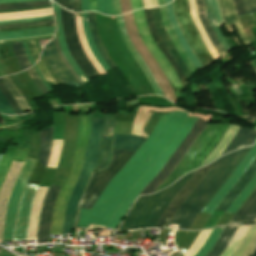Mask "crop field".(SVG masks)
Returning a JSON list of instances; mask_svg holds the SVG:
<instances>
[{
	"label": "crop field",
	"mask_w": 256,
	"mask_h": 256,
	"mask_svg": "<svg viewBox=\"0 0 256 256\" xmlns=\"http://www.w3.org/2000/svg\"><path fill=\"white\" fill-rule=\"evenodd\" d=\"M167 115H169L168 118L156 135ZM187 115L188 113L186 112H168L163 114L147 141L111 179L106 189L104 188L105 190L94 203L92 209L81 208L77 227H87L89 223L106 226L127 192L148 171L178 131Z\"/></svg>",
	"instance_id": "crop-field-1"
},
{
	"label": "crop field",
	"mask_w": 256,
	"mask_h": 256,
	"mask_svg": "<svg viewBox=\"0 0 256 256\" xmlns=\"http://www.w3.org/2000/svg\"><path fill=\"white\" fill-rule=\"evenodd\" d=\"M198 118L187 117L179 131L173 137V139L166 146L164 151L161 153L159 158L149 169V171L132 187L129 193L124 198L123 202L115 212L114 216L107 224L106 228L115 229L119 224L121 219L126 214L133 200L141 193L142 189L149 183V181L158 173V171L165 165L169 160L171 154L175 151L181 140L190 131V129L195 125ZM207 123L198 119L196 125L191 129V131L186 135L183 141L180 143L176 151L172 154L170 160L166 165L159 171V173L153 178V180L147 185V187L142 191L140 195L151 194L161 182L173 171L177 166L179 161L182 159L190 145L195 141V139L200 135Z\"/></svg>",
	"instance_id": "crop-field-2"
},
{
	"label": "crop field",
	"mask_w": 256,
	"mask_h": 256,
	"mask_svg": "<svg viewBox=\"0 0 256 256\" xmlns=\"http://www.w3.org/2000/svg\"><path fill=\"white\" fill-rule=\"evenodd\" d=\"M249 149H241L216 160L209 173L181 205L170 223L180 225V229L189 230L199 211L207 204Z\"/></svg>",
	"instance_id": "crop-field-3"
},
{
	"label": "crop field",
	"mask_w": 256,
	"mask_h": 256,
	"mask_svg": "<svg viewBox=\"0 0 256 256\" xmlns=\"http://www.w3.org/2000/svg\"><path fill=\"white\" fill-rule=\"evenodd\" d=\"M195 172V171H194ZM194 172L185 175L173 186L152 195L141 196L133 204L119 231L155 227L161 214Z\"/></svg>",
	"instance_id": "crop-field-4"
},
{
	"label": "crop field",
	"mask_w": 256,
	"mask_h": 256,
	"mask_svg": "<svg viewBox=\"0 0 256 256\" xmlns=\"http://www.w3.org/2000/svg\"><path fill=\"white\" fill-rule=\"evenodd\" d=\"M90 129L91 122L89 114L79 116L74 160L72 163L71 171L69 170L70 173L61 188L55 205L54 218L50 234L61 235L66 204L81 171Z\"/></svg>",
	"instance_id": "crop-field-5"
},
{
	"label": "crop field",
	"mask_w": 256,
	"mask_h": 256,
	"mask_svg": "<svg viewBox=\"0 0 256 256\" xmlns=\"http://www.w3.org/2000/svg\"><path fill=\"white\" fill-rule=\"evenodd\" d=\"M91 121H92V130H91L89 142L86 148L83 168L80 173L77 184L74 188V191L67 204L62 235L71 233L73 230L76 215H77L78 203L86 188L87 182L96 166L103 119H91Z\"/></svg>",
	"instance_id": "crop-field-6"
},
{
	"label": "crop field",
	"mask_w": 256,
	"mask_h": 256,
	"mask_svg": "<svg viewBox=\"0 0 256 256\" xmlns=\"http://www.w3.org/2000/svg\"><path fill=\"white\" fill-rule=\"evenodd\" d=\"M51 139L52 126L40 131V157L38 160L44 166H46L49 156ZM39 161L37 162L27 183L39 184L45 171V167ZM37 186L38 185L32 184L26 185V189L21 200L14 240H26L31 203L33 196L37 190Z\"/></svg>",
	"instance_id": "crop-field-7"
},
{
	"label": "crop field",
	"mask_w": 256,
	"mask_h": 256,
	"mask_svg": "<svg viewBox=\"0 0 256 256\" xmlns=\"http://www.w3.org/2000/svg\"><path fill=\"white\" fill-rule=\"evenodd\" d=\"M134 152L113 148V159L104 172H94L80 207L90 209L109 180L125 165Z\"/></svg>",
	"instance_id": "crop-field-8"
},
{
	"label": "crop field",
	"mask_w": 256,
	"mask_h": 256,
	"mask_svg": "<svg viewBox=\"0 0 256 256\" xmlns=\"http://www.w3.org/2000/svg\"><path fill=\"white\" fill-rule=\"evenodd\" d=\"M174 9L179 26L189 42L192 50L204 67L215 62L206 49L190 15L187 0H174Z\"/></svg>",
	"instance_id": "crop-field-9"
},
{
	"label": "crop field",
	"mask_w": 256,
	"mask_h": 256,
	"mask_svg": "<svg viewBox=\"0 0 256 256\" xmlns=\"http://www.w3.org/2000/svg\"><path fill=\"white\" fill-rule=\"evenodd\" d=\"M133 15H134V19H135L137 28L140 32L143 42L145 43V45L147 46V48L149 49L151 54L154 56V58L156 59V61L159 64V66L161 67V69L167 76L168 80L170 81V83L174 89L176 99L178 101L179 98L181 97L183 87H182L176 73L174 72L173 68L168 63V61L165 59V57L159 50L158 46L154 42L153 38L151 37L148 27H147L143 9L134 11Z\"/></svg>",
	"instance_id": "crop-field-10"
},
{
	"label": "crop field",
	"mask_w": 256,
	"mask_h": 256,
	"mask_svg": "<svg viewBox=\"0 0 256 256\" xmlns=\"http://www.w3.org/2000/svg\"><path fill=\"white\" fill-rule=\"evenodd\" d=\"M61 23L65 34L66 44L70 51L71 56L74 58L78 66L84 72L86 77L90 79L91 77H96L99 74L91 65L87 57L85 56L76 33L75 29V16L73 13L67 12L66 10L60 8Z\"/></svg>",
	"instance_id": "crop-field-11"
},
{
	"label": "crop field",
	"mask_w": 256,
	"mask_h": 256,
	"mask_svg": "<svg viewBox=\"0 0 256 256\" xmlns=\"http://www.w3.org/2000/svg\"><path fill=\"white\" fill-rule=\"evenodd\" d=\"M36 162V160L26 158L21 172L13 186L4 224L3 239L5 240H12L13 238L20 195Z\"/></svg>",
	"instance_id": "crop-field-12"
},
{
	"label": "crop field",
	"mask_w": 256,
	"mask_h": 256,
	"mask_svg": "<svg viewBox=\"0 0 256 256\" xmlns=\"http://www.w3.org/2000/svg\"><path fill=\"white\" fill-rule=\"evenodd\" d=\"M27 152L28 150H26L21 146H18L13 161L23 164L26 158ZM14 162L10 167V170L6 176V179L0 191V243L2 241L3 224H4V217L6 213L8 199L10 196L12 186L22 166V164H18Z\"/></svg>",
	"instance_id": "crop-field-13"
},
{
	"label": "crop field",
	"mask_w": 256,
	"mask_h": 256,
	"mask_svg": "<svg viewBox=\"0 0 256 256\" xmlns=\"http://www.w3.org/2000/svg\"><path fill=\"white\" fill-rule=\"evenodd\" d=\"M213 163L214 162L196 171V173L191 177V179L186 183V185L181 189V191L173 198V200L167 207L165 213L161 217L156 227L167 226L169 220L172 218L174 213L179 209L182 202L185 200L188 194L194 189V187L201 181V179L206 175V173L209 171Z\"/></svg>",
	"instance_id": "crop-field-14"
},
{
	"label": "crop field",
	"mask_w": 256,
	"mask_h": 256,
	"mask_svg": "<svg viewBox=\"0 0 256 256\" xmlns=\"http://www.w3.org/2000/svg\"><path fill=\"white\" fill-rule=\"evenodd\" d=\"M256 144V143H255ZM256 157V145H254L250 151L245 155L241 163L237 166L234 172L229 176L225 183L220 187L216 194L212 197L209 203L203 208L202 212L211 214L221 199L231 189L239 177L243 174L252 160Z\"/></svg>",
	"instance_id": "crop-field-15"
},
{
	"label": "crop field",
	"mask_w": 256,
	"mask_h": 256,
	"mask_svg": "<svg viewBox=\"0 0 256 256\" xmlns=\"http://www.w3.org/2000/svg\"><path fill=\"white\" fill-rule=\"evenodd\" d=\"M42 53L62 84L77 83L76 79L72 76L62 59L59 57L54 40L45 46Z\"/></svg>",
	"instance_id": "crop-field-16"
},
{
	"label": "crop field",
	"mask_w": 256,
	"mask_h": 256,
	"mask_svg": "<svg viewBox=\"0 0 256 256\" xmlns=\"http://www.w3.org/2000/svg\"><path fill=\"white\" fill-rule=\"evenodd\" d=\"M61 187L51 185L44 201L37 243H47L55 199Z\"/></svg>",
	"instance_id": "crop-field-17"
},
{
	"label": "crop field",
	"mask_w": 256,
	"mask_h": 256,
	"mask_svg": "<svg viewBox=\"0 0 256 256\" xmlns=\"http://www.w3.org/2000/svg\"><path fill=\"white\" fill-rule=\"evenodd\" d=\"M231 121H221L216 130L214 131L213 135L211 136L210 140L203 146V148L199 151V153L195 156V158L192 160V162L189 164V166L186 168V170L183 172L181 176L184 174L195 170L199 168L202 161L205 159V157L215 148V146L218 144L219 140L223 136L224 132L228 128ZM180 176V177H181Z\"/></svg>",
	"instance_id": "crop-field-18"
},
{
	"label": "crop field",
	"mask_w": 256,
	"mask_h": 256,
	"mask_svg": "<svg viewBox=\"0 0 256 256\" xmlns=\"http://www.w3.org/2000/svg\"><path fill=\"white\" fill-rule=\"evenodd\" d=\"M152 11H153L154 25H155L159 35L163 39V41L166 44V46L168 47L171 55L174 57L175 61L179 64V66L182 68L183 72L185 73V75H186V77L188 79L193 74L188 69V67L185 65V63L182 61L181 57L176 52L173 44L171 43L169 37L167 36V34H166V32H165V30L163 28V25L161 23L159 7L152 8Z\"/></svg>",
	"instance_id": "crop-field-19"
},
{
	"label": "crop field",
	"mask_w": 256,
	"mask_h": 256,
	"mask_svg": "<svg viewBox=\"0 0 256 256\" xmlns=\"http://www.w3.org/2000/svg\"><path fill=\"white\" fill-rule=\"evenodd\" d=\"M256 172V158L250 164L247 171L243 174V176L238 180V182L233 186V188L227 193V195L223 198L220 204L216 209L227 210L230 206L231 202L238 195V193L243 189V187L248 183V181L252 178V176Z\"/></svg>",
	"instance_id": "crop-field-20"
},
{
	"label": "crop field",
	"mask_w": 256,
	"mask_h": 256,
	"mask_svg": "<svg viewBox=\"0 0 256 256\" xmlns=\"http://www.w3.org/2000/svg\"><path fill=\"white\" fill-rule=\"evenodd\" d=\"M145 10V14H146V19H147V23H148V27L157 43V45L159 46V48L161 49L162 53L164 54V56L168 59V61L171 63V65L173 66V68L175 69L179 79L181 80L183 87L186 86V84L188 83L184 73L182 72L181 68L177 65V63L174 61V59L171 57L169 51L167 50L166 46L164 45L163 41L161 40V38L159 37L158 33L155 30V27L153 25V21H152V11L151 8H147L144 9Z\"/></svg>",
	"instance_id": "crop-field-21"
},
{
	"label": "crop field",
	"mask_w": 256,
	"mask_h": 256,
	"mask_svg": "<svg viewBox=\"0 0 256 256\" xmlns=\"http://www.w3.org/2000/svg\"><path fill=\"white\" fill-rule=\"evenodd\" d=\"M218 4L221 9L222 16H223L225 23L234 22L237 32H238L240 38L242 39V41L245 43V45L250 44V41L246 37V35L238 21V17L235 13V9H234L232 0H218Z\"/></svg>",
	"instance_id": "crop-field-22"
},
{
	"label": "crop field",
	"mask_w": 256,
	"mask_h": 256,
	"mask_svg": "<svg viewBox=\"0 0 256 256\" xmlns=\"http://www.w3.org/2000/svg\"><path fill=\"white\" fill-rule=\"evenodd\" d=\"M52 5H53L55 21H56V25H57V39H58V43H59L60 49H61L63 55L66 57L67 61L74 68L76 73L79 75V77L81 78L82 82L83 83L88 82L89 80L84 76V74L78 68V66L76 65L75 61L70 57V54H69V52L67 50V47H66V44H65V41H64V37H63L61 23H60L59 6H57L53 2H52Z\"/></svg>",
	"instance_id": "crop-field-23"
},
{
	"label": "crop field",
	"mask_w": 256,
	"mask_h": 256,
	"mask_svg": "<svg viewBox=\"0 0 256 256\" xmlns=\"http://www.w3.org/2000/svg\"><path fill=\"white\" fill-rule=\"evenodd\" d=\"M166 8H167L168 16H169L170 22L172 24V27L182 45V47L184 48L186 54L188 55L189 59L195 65L196 69L204 68L202 66V64L199 62V60L196 58V56L193 54L188 42L186 41L183 33L181 32V30L177 24L175 14H174L173 4L170 3V4L166 5Z\"/></svg>",
	"instance_id": "crop-field-24"
},
{
	"label": "crop field",
	"mask_w": 256,
	"mask_h": 256,
	"mask_svg": "<svg viewBox=\"0 0 256 256\" xmlns=\"http://www.w3.org/2000/svg\"><path fill=\"white\" fill-rule=\"evenodd\" d=\"M256 141V131L240 127L239 131L226 147V149L221 153V155L238 149L240 147H247L254 144ZM220 155V156H221Z\"/></svg>",
	"instance_id": "crop-field-25"
},
{
	"label": "crop field",
	"mask_w": 256,
	"mask_h": 256,
	"mask_svg": "<svg viewBox=\"0 0 256 256\" xmlns=\"http://www.w3.org/2000/svg\"><path fill=\"white\" fill-rule=\"evenodd\" d=\"M54 32H55V26L49 27V28H42V29L6 31V32H0V40L37 37L41 35L52 34Z\"/></svg>",
	"instance_id": "crop-field-26"
},
{
	"label": "crop field",
	"mask_w": 256,
	"mask_h": 256,
	"mask_svg": "<svg viewBox=\"0 0 256 256\" xmlns=\"http://www.w3.org/2000/svg\"><path fill=\"white\" fill-rule=\"evenodd\" d=\"M195 1H196L197 10H198V16L201 20V23H202L207 35L209 36L210 40L212 41L216 51L218 52L219 55L226 53L225 50L223 49V47L221 46L220 42L216 38V36L206 18L203 1L202 0H195Z\"/></svg>",
	"instance_id": "crop-field-27"
},
{
	"label": "crop field",
	"mask_w": 256,
	"mask_h": 256,
	"mask_svg": "<svg viewBox=\"0 0 256 256\" xmlns=\"http://www.w3.org/2000/svg\"><path fill=\"white\" fill-rule=\"evenodd\" d=\"M144 141L145 138L138 136L114 134L113 147L136 151L144 143Z\"/></svg>",
	"instance_id": "crop-field-28"
},
{
	"label": "crop field",
	"mask_w": 256,
	"mask_h": 256,
	"mask_svg": "<svg viewBox=\"0 0 256 256\" xmlns=\"http://www.w3.org/2000/svg\"><path fill=\"white\" fill-rule=\"evenodd\" d=\"M256 247V224L252 225L246 237L233 256H250Z\"/></svg>",
	"instance_id": "crop-field-29"
},
{
	"label": "crop field",
	"mask_w": 256,
	"mask_h": 256,
	"mask_svg": "<svg viewBox=\"0 0 256 256\" xmlns=\"http://www.w3.org/2000/svg\"><path fill=\"white\" fill-rule=\"evenodd\" d=\"M189 2V7H190V15L207 47V49L209 50V52L211 53V55L213 56V58L216 60H218L220 57L218 56V54L216 53L215 49L213 48L210 40L208 39L201 23H200V20L197 16V11H196V7H195V2L194 0H188Z\"/></svg>",
	"instance_id": "crop-field-30"
},
{
	"label": "crop field",
	"mask_w": 256,
	"mask_h": 256,
	"mask_svg": "<svg viewBox=\"0 0 256 256\" xmlns=\"http://www.w3.org/2000/svg\"><path fill=\"white\" fill-rule=\"evenodd\" d=\"M238 227L239 225L226 226L216 245L207 256H219L233 237Z\"/></svg>",
	"instance_id": "crop-field-31"
},
{
	"label": "crop field",
	"mask_w": 256,
	"mask_h": 256,
	"mask_svg": "<svg viewBox=\"0 0 256 256\" xmlns=\"http://www.w3.org/2000/svg\"><path fill=\"white\" fill-rule=\"evenodd\" d=\"M256 204V190L252 195L246 200V202L237 211L234 217L230 220L228 224H238L243 221L246 215L251 211L253 206Z\"/></svg>",
	"instance_id": "crop-field-32"
},
{
	"label": "crop field",
	"mask_w": 256,
	"mask_h": 256,
	"mask_svg": "<svg viewBox=\"0 0 256 256\" xmlns=\"http://www.w3.org/2000/svg\"><path fill=\"white\" fill-rule=\"evenodd\" d=\"M256 187V175L251 179V181L246 185L243 191L239 194L236 200L232 203V205L228 208V212L235 213L236 210L240 207V205L245 201V199L249 196V194Z\"/></svg>",
	"instance_id": "crop-field-33"
},
{
	"label": "crop field",
	"mask_w": 256,
	"mask_h": 256,
	"mask_svg": "<svg viewBox=\"0 0 256 256\" xmlns=\"http://www.w3.org/2000/svg\"><path fill=\"white\" fill-rule=\"evenodd\" d=\"M17 146V145H16ZM16 146L6 149L1 160H0V188L3 183V180L9 170V167L12 163L13 155L16 149Z\"/></svg>",
	"instance_id": "crop-field-34"
},
{
	"label": "crop field",
	"mask_w": 256,
	"mask_h": 256,
	"mask_svg": "<svg viewBox=\"0 0 256 256\" xmlns=\"http://www.w3.org/2000/svg\"><path fill=\"white\" fill-rule=\"evenodd\" d=\"M205 2V8H206V13H207V17L209 19V22L217 36V38L219 39V41L221 42V44L223 45L224 49L227 51L231 50L229 48V46L226 44L219 28H218V25L216 23V20H215V17H214V13H213V10L211 8V4H210V0H204Z\"/></svg>",
	"instance_id": "crop-field-35"
},
{
	"label": "crop field",
	"mask_w": 256,
	"mask_h": 256,
	"mask_svg": "<svg viewBox=\"0 0 256 256\" xmlns=\"http://www.w3.org/2000/svg\"><path fill=\"white\" fill-rule=\"evenodd\" d=\"M82 23H83V27H84L85 37H86L88 46H89L92 54L94 55L96 60L99 62V64L104 68L105 71L110 70V67L107 65V63L100 56L99 52L97 51V49L94 45L93 39H92V37L90 35V32H89L88 22L82 20Z\"/></svg>",
	"instance_id": "crop-field-36"
},
{
	"label": "crop field",
	"mask_w": 256,
	"mask_h": 256,
	"mask_svg": "<svg viewBox=\"0 0 256 256\" xmlns=\"http://www.w3.org/2000/svg\"><path fill=\"white\" fill-rule=\"evenodd\" d=\"M113 140H102L99 164L96 169H105L111 159V147Z\"/></svg>",
	"instance_id": "crop-field-37"
},
{
	"label": "crop field",
	"mask_w": 256,
	"mask_h": 256,
	"mask_svg": "<svg viewBox=\"0 0 256 256\" xmlns=\"http://www.w3.org/2000/svg\"><path fill=\"white\" fill-rule=\"evenodd\" d=\"M2 80L4 81L5 85L9 89L10 93L14 97L15 101L17 102V104L20 107V109L22 110V112H24L26 110H29L30 112H32L30 107L27 105V103L24 101V99L21 97V95L19 94V92L17 91L15 86L13 85L10 78L4 77V78H2Z\"/></svg>",
	"instance_id": "crop-field-38"
},
{
	"label": "crop field",
	"mask_w": 256,
	"mask_h": 256,
	"mask_svg": "<svg viewBox=\"0 0 256 256\" xmlns=\"http://www.w3.org/2000/svg\"><path fill=\"white\" fill-rule=\"evenodd\" d=\"M224 228L213 229L206 243L195 256H206L213 248Z\"/></svg>",
	"instance_id": "crop-field-39"
},
{
	"label": "crop field",
	"mask_w": 256,
	"mask_h": 256,
	"mask_svg": "<svg viewBox=\"0 0 256 256\" xmlns=\"http://www.w3.org/2000/svg\"><path fill=\"white\" fill-rule=\"evenodd\" d=\"M13 45V51L15 54V57L21 67L22 70L28 68L30 65L27 56L25 54V51L23 49L22 43L21 42H17V43H12Z\"/></svg>",
	"instance_id": "crop-field-40"
},
{
	"label": "crop field",
	"mask_w": 256,
	"mask_h": 256,
	"mask_svg": "<svg viewBox=\"0 0 256 256\" xmlns=\"http://www.w3.org/2000/svg\"><path fill=\"white\" fill-rule=\"evenodd\" d=\"M50 4V0L45 1H35V2H24V3H13V4H2L0 5V10H8L15 8H30L42 5Z\"/></svg>",
	"instance_id": "crop-field-41"
},
{
	"label": "crop field",
	"mask_w": 256,
	"mask_h": 256,
	"mask_svg": "<svg viewBox=\"0 0 256 256\" xmlns=\"http://www.w3.org/2000/svg\"><path fill=\"white\" fill-rule=\"evenodd\" d=\"M90 28H91V32H92V35H93L94 42H95V44H96L100 54L102 55V57L104 58V60L108 63V65L110 67L114 66V63L108 57V55L106 54V52H105V50L103 48V45H102V43H101V41L99 39V36L97 34L95 26L90 24Z\"/></svg>",
	"instance_id": "crop-field-42"
},
{
	"label": "crop field",
	"mask_w": 256,
	"mask_h": 256,
	"mask_svg": "<svg viewBox=\"0 0 256 256\" xmlns=\"http://www.w3.org/2000/svg\"><path fill=\"white\" fill-rule=\"evenodd\" d=\"M0 90H1L2 94L4 95V97L6 98V100L11 105L12 109L15 111V113L16 114H23L21 112V110L19 109V107L17 106V104L15 103V101L12 99L9 91L7 90L6 86L2 82L1 78H0Z\"/></svg>",
	"instance_id": "crop-field-43"
},
{
	"label": "crop field",
	"mask_w": 256,
	"mask_h": 256,
	"mask_svg": "<svg viewBox=\"0 0 256 256\" xmlns=\"http://www.w3.org/2000/svg\"><path fill=\"white\" fill-rule=\"evenodd\" d=\"M98 12L105 15H114L111 6V0H96Z\"/></svg>",
	"instance_id": "crop-field-44"
},
{
	"label": "crop field",
	"mask_w": 256,
	"mask_h": 256,
	"mask_svg": "<svg viewBox=\"0 0 256 256\" xmlns=\"http://www.w3.org/2000/svg\"><path fill=\"white\" fill-rule=\"evenodd\" d=\"M29 75L31 76L32 80L35 82V84L39 87V89L42 91L43 94L49 93V91L45 88L44 84L40 80L39 76L35 72V70L32 68L27 70Z\"/></svg>",
	"instance_id": "crop-field-45"
},
{
	"label": "crop field",
	"mask_w": 256,
	"mask_h": 256,
	"mask_svg": "<svg viewBox=\"0 0 256 256\" xmlns=\"http://www.w3.org/2000/svg\"><path fill=\"white\" fill-rule=\"evenodd\" d=\"M50 23H54V20L34 22V23L0 25V29L13 28V27H23V26H33V25H42V24H50Z\"/></svg>",
	"instance_id": "crop-field-46"
},
{
	"label": "crop field",
	"mask_w": 256,
	"mask_h": 256,
	"mask_svg": "<svg viewBox=\"0 0 256 256\" xmlns=\"http://www.w3.org/2000/svg\"><path fill=\"white\" fill-rule=\"evenodd\" d=\"M0 112L5 114H14L7 101L0 92Z\"/></svg>",
	"instance_id": "crop-field-47"
},
{
	"label": "crop field",
	"mask_w": 256,
	"mask_h": 256,
	"mask_svg": "<svg viewBox=\"0 0 256 256\" xmlns=\"http://www.w3.org/2000/svg\"><path fill=\"white\" fill-rule=\"evenodd\" d=\"M49 18H53V16L29 18V19H19V20H10V21H0V24L34 22V21H40V20L49 19Z\"/></svg>",
	"instance_id": "crop-field-48"
},
{
	"label": "crop field",
	"mask_w": 256,
	"mask_h": 256,
	"mask_svg": "<svg viewBox=\"0 0 256 256\" xmlns=\"http://www.w3.org/2000/svg\"><path fill=\"white\" fill-rule=\"evenodd\" d=\"M43 76L46 78L47 81L56 83L54 78L51 76V74L48 72V70L45 68V66L42 64L41 60L39 59L38 63L36 64Z\"/></svg>",
	"instance_id": "crop-field-49"
},
{
	"label": "crop field",
	"mask_w": 256,
	"mask_h": 256,
	"mask_svg": "<svg viewBox=\"0 0 256 256\" xmlns=\"http://www.w3.org/2000/svg\"><path fill=\"white\" fill-rule=\"evenodd\" d=\"M245 12H256V0H242Z\"/></svg>",
	"instance_id": "crop-field-50"
},
{
	"label": "crop field",
	"mask_w": 256,
	"mask_h": 256,
	"mask_svg": "<svg viewBox=\"0 0 256 256\" xmlns=\"http://www.w3.org/2000/svg\"><path fill=\"white\" fill-rule=\"evenodd\" d=\"M27 44H28V48L30 50L31 56H32L34 62H36L39 54H38L37 48L35 46V43L33 41H28Z\"/></svg>",
	"instance_id": "crop-field-51"
},
{
	"label": "crop field",
	"mask_w": 256,
	"mask_h": 256,
	"mask_svg": "<svg viewBox=\"0 0 256 256\" xmlns=\"http://www.w3.org/2000/svg\"><path fill=\"white\" fill-rule=\"evenodd\" d=\"M211 4L214 8L217 23H218V25H220L222 23V17H221L220 10L218 8L217 0H211Z\"/></svg>",
	"instance_id": "crop-field-52"
},
{
	"label": "crop field",
	"mask_w": 256,
	"mask_h": 256,
	"mask_svg": "<svg viewBox=\"0 0 256 256\" xmlns=\"http://www.w3.org/2000/svg\"><path fill=\"white\" fill-rule=\"evenodd\" d=\"M55 42H56V45H57V48H58V51H59V54H60V57L63 59V61L65 62V64L67 65V67L69 68L70 72L73 74V76L77 79V81L83 85V83L79 80V78L77 77V75L75 74L74 70L72 69V67L68 64V62L66 61L65 57L61 54V51L59 49V46H58V43H57V39L54 38Z\"/></svg>",
	"instance_id": "crop-field-53"
},
{
	"label": "crop field",
	"mask_w": 256,
	"mask_h": 256,
	"mask_svg": "<svg viewBox=\"0 0 256 256\" xmlns=\"http://www.w3.org/2000/svg\"><path fill=\"white\" fill-rule=\"evenodd\" d=\"M60 6L63 8L74 11V1L73 0H60Z\"/></svg>",
	"instance_id": "crop-field-54"
},
{
	"label": "crop field",
	"mask_w": 256,
	"mask_h": 256,
	"mask_svg": "<svg viewBox=\"0 0 256 256\" xmlns=\"http://www.w3.org/2000/svg\"><path fill=\"white\" fill-rule=\"evenodd\" d=\"M256 221V205L243 222Z\"/></svg>",
	"instance_id": "crop-field-55"
},
{
	"label": "crop field",
	"mask_w": 256,
	"mask_h": 256,
	"mask_svg": "<svg viewBox=\"0 0 256 256\" xmlns=\"http://www.w3.org/2000/svg\"><path fill=\"white\" fill-rule=\"evenodd\" d=\"M233 1L236 6L237 15L245 13L241 4V0H233Z\"/></svg>",
	"instance_id": "crop-field-56"
},
{
	"label": "crop field",
	"mask_w": 256,
	"mask_h": 256,
	"mask_svg": "<svg viewBox=\"0 0 256 256\" xmlns=\"http://www.w3.org/2000/svg\"><path fill=\"white\" fill-rule=\"evenodd\" d=\"M144 8L158 6L157 0H143Z\"/></svg>",
	"instance_id": "crop-field-57"
},
{
	"label": "crop field",
	"mask_w": 256,
	"mask_h": 256,
	"mask_svg": "<svg viewBox=\"0 0 256 256\" xmlns=\"http://www.w3.org/2000/svg\"><path fill=\"white\" fill-rule=\"evenodd\" d=\"M132 8L134 9H140L143 8L142 6V0H131Z\"/></svg>",
	"instance_id": "crop-field-58"
},
{
	"label": "crop field",
	"mask_w": 256,
	"mask_h": 256,
	"mask_svg": "<svg viewBox=\"0 0 256 256\" xmlns=\"http://www.w3.org/2000/svg\"><path fill=\"white\" fill-rule=\"evenodd\" d=\"M82 11H90L89 1L81 0Z\"/></svg>",
	"instance_id": "crop-field-59"
},
{
	"label": "crop field",
	"mask_w": 256,
	"mask_h": 256,
	"mask_svg": "<svg viewBox=\"0 0 256 256\" xmlns=\"http://www.w3.org/2000/svg\"><path fill=\"white\" fill-rule=\"evenodd\" d=\"M33 67H34V69L36 70V72L38 73V75L40 76V78H41V80L43 81V83L49 88L50 92H52V89L49 87V85H48V83L46 82V80L44 79V77L40 74V72H39L38 68L36 67V65L33 66ZM47 87H46V88H47ZM48 88H47V89H48Z\"/></svg>",
	"instance_id": "crop-field-60"
},
{
	"label": "crop field",
	"mask_w": 256,
	"mask_h": 256,
	"mask_svg": "<svg viewBox=\"0 0 256 256\" xmlns=\"http://www.w3.org/2000/svg\"><path fill=\"white\" fill-rule=\"evenodd\" d=\"M88 19L90 22L95 23V14L93 12H88Z\"/></svg>",
	"instance_id": "crop-field-61"
},
{
	"label": "crop field",
	"mask_w": 256,
	"mask_h": 256,
	"mask_svg": "<svg viewBox=\"0 0 256 256\" xmlns=\"http://www.w3.org/2000/svg\"><path fill=\"white\" fill-rule=\"evenodd\" d=\"M23 44H24V49H25V51H26V54H27V56H28V58H29V60H30L31 64H34V62H33L32 58H31V56H30V53H29V51H28V48H27L26 43H25V42H23Z\"/></svg>",
	"instance_id": "crop-field-62"
},
{
	"label": "crop field",
	"mask_w": 256,
	"mask_h": 256,
	"mask_svg": "<svg viewBox=\"0 0 256 256\" xmlns=\"http://www.w3.org/2000/svg\"><path fill=\"white\" fill-rule=\"evenodd\" d=\"M81 7H80V0H75V12H80Z\"/></svg>",
	"instance_id": "crop-field-63"
},
{
	"label": "crop field",
	"mask_w": 256,
	"mask_h": 256,
	"mask_svg": "<svg viewBox=\"0 0 256 256\" xmlns=\"http://www.w3.org/2000/svg\"><path fill=\"white\" fill-rule=\"evenodd\" d=\"M89 1H90L91 10L97 11L96 1L95 0H89Z\"/></svg>",
	"instance_id": "crop-field-64"
},
{
	"label": "crop field",
	"mask_w": 256,
	"mask_h": 256,
	"mask_svg": "<svg viewBox=\"0 0 256 256\" xmlns=\"http://www.w3.org/2000/svg\"><path fill=\"white\" fill-rule=\"evenodd\" d=\"M20 1H29V0H0L1 3H11V2H20Z\"/></svg>",
	"instance_id": "crop-field-65"
},
{
	"label": "crop field",
	"mask_w": 256,
	"mask_h": 256,
	"mask_svg": "<svg viewBox=\"0 0 256 256\" xmlns=\"http://www.w3.org/2000/svg\"><path fill=\"white\" fill-rule=\"evenodd\" d=\"M82 17H83L85 20L88 21V19H87V13H82Z\"/></svg>",
	"instance_id": "crop-field-66"
},
{
	"label": "crop field",
	"mask_w": 256,
	"mask_h": 256,
	"mask_svg": "<svg viewBox=\"0 0 256 256\" xmlns=\"http://www.w3.org/2000/svg\"><path fill=\"white\" fill-rule=\"evenodd\" d=\"M251 256H256V249L254 250V252Z\"/></svg>",
	"instance_id": "crop-field-67"
},
{
	"label": "crop field",
	"mask_w": 256,
	"mask_h": 256,
	"mask_svg": "<svg viewBox=\"0 0 256 256\" xmlns=\"http://www.w3.org/2000/svg\"><path fill=\"white\" fill-rule=\"evenodd\" d=\"M170 1H172V0H165L166 3L170 2Z\"/></svg>",
	"instance_id": "crop-field-68"
},
{
	"label": "crop field",
	"mask_w": 256,
	"mask_h": 256,
	"mask_svg": "<svg viewBox=\"0 0 256 256\" xmlns=\"http://www.w3.org/2000/svg\"><path fill=\"white\" fill-rule=\"evenodd\" d=\"M54 1H56L57 3H59V0H54Z\"/></svg>",
	"instance_id": "crop-field-69"
},
{
	"label": "crop field",
	"mask_w": 256,
	"mask_h": 256,
	"mask_svg": "<svg viewBox=\"0 0 256 256\" xmlns=\"http://www.w3.org/2000/svg\"><path fill=\"white\" fill-rule=\"evenodd\" d=\"M48 12V11H47ZM40 13V12H39ZM31 14V13H30ZM3 17V16H2Z\"/></svg>",
	"instance_id": "crop-field-70"
},
{
	"label": "crop field",
	"mask_w": 256,
	"mask_h": 256,
	"mask_svg": "<svg viewBox=\"0 0 256 256\" xmlns=\"http://www.w3.org/2000/svg\"><path fill=\"white\" fill-rule=\"evenodd\" d=\"M2 155H0V158H1Z\"/></svg>",
	"instance_id": "crop-field-71"
},
{
	"label": "crop field",
	"mask_w": 256,
	"mask_h": 256,
	"mask_svg": "<svg viewBox=\"0 0 256 256\" xmlns=\"http://www.w3.org/2000/svg\"><path fill=\"white\" fill-rule=\"evenodd\" d=\"M1 253V252H0Z\"/></svg>",
	"instance_id": "crop-field-72"
}]
</instances>
